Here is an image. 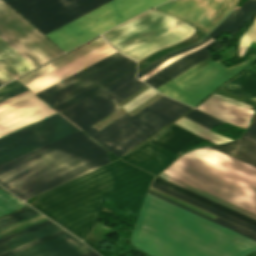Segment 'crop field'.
Segmentation results:
<instances>
[{
    "label": "crop field",
    "mask_w": 256,
    "mask_h": 256,
    "mask_svg": "<svg viewBox=\"0 0 256 256\" xmlns=\"http://www.w3.org/2000/svg\"><path fill=\"white\" fill-rule=\"evenodd\" d=\"M131 245L152 256H244L256 241L146 195Z\"/></svg>",
    "instance_id": "crop-field-2"
},
{
    "label": "crop field",
    "mask_w": 256,
    "mask_h": 256,
    "mask_svg": "<svg viewBox=\"0 0 256 256\" xmlns=\"http://www.w3.org/2000/svg\"><path fill=\"white\" fill-rule=\"evenodd\" d=\"M222 89L256 100V72L246 70Z\"/></svg>",
    "instance_id": "crop-field-24"
},
{
    "label": "crop field",
    "mask_w": 256,
    "mask_h": 256,
    "mask_svg": "<svg viewBox=\"0 0 256 256\" xmlns=\"http://www.w3.org/2000/svg\"><path fill=\"white\" fill-rule=\"evenodd\" d=\"M109 162L107 150L78 130L0 165V185L26 200Z\"/></svg>",
    "instance_id": "crop-field-4"
},
{
    "label": "crop field",
    "mask_w": 256,
    "mask_h": 256,
    "mask_svg": "<svg viewBox=\"0 0 256 256\" xmlns=\"http://www.w3.org/2000/svg\"><path fill=\"white\" fill-rule=\"evenodd\" d=\"M167 0H113L47 34L67 51Z\"/></svg>",
    "instance_id": "crop-field-6"
},
{
    "label": "crop field",
    "mask_w": 256,
    "mask_h": 256,
    "mask_svg": "<svg viewBox=\"0 0 256 256\" xmlns=\"http://www.w3.org/2000/svg\"><path fill=\"white\" fill-rule=\"evenodd\" d=\"M187 25L185 23L178 29L174 30L173 32H171L159 39H156L148 44L141 45L123 55L138 62L141 59H143L144 57L148 56L152 52H154L162 47L182 41V40L186 39L187 37L191 36L196 30H194L193 28H191Z\"/></svg>",
    "instance_id": "crop-field-18"
},
{
    "label": "crop field",
    "mask_w": 256,
    "mask_h": 256,
    "mask_svg": "<svg viewBox=\"0 0 256 256\" xmlns=\"http://www.w3.org/2000/svg\"><path fill=\"white\" fill-rule=\"evenodd\" d=\"M212 62H214V59L211 57L205 59L204 61L198 63L197 65L191 67L190 69H188L187 71H185L184 73H182L181 75H179L178 77L172 79L171 81L155 88L157 89L159 92H164L167 89L173 87L174 85L178 84L179 82L185 80L186 78L196 74L197 72H199L200 70H202L203 68H205L206 66H208L209 64H211Z\"/></svg>",
    "instance_id": "crop-field-29"
},
{
    "label": "crop field",
    "mask_w": 256,
    "mask_h": 256,
    "mask_svg": "<svg viewBox=\"0 0 256 256\" xmlns=\"http://www.w3.org/2000/svg\"><path fill=\"white\" fill-rule=\"evenodd\" d=\"M135 74L136 63L117 52L35 94L119 157L192 108L162 96L94 131L91 125L145 85Z\"/></svg>",
    "instance_id": "crop-field-1"
},
{
    "label": "crop field",
    "mask_w": 256,
    "mask_h": 256,
    "mask_svg": "<svg viewBox=\"0 0 256 256\" xmlns=\"http://www.w3.org/2000/svg\"><path fill=\"white\" fill-rule=\"evenodd\" d=\"M19 86H21V84L17 80H15V81H13V82H11V83L1 87L0 88V95L5 93V92H8V91H10L12 89H15V88H17Z\"/></svg>",
    "instance_id": "crop-field-44"
},
{
    "label": "crop field",
    "mask_w": 256,
    "mask_h": 256,
    "mask_svg": "<svg viewBox=\"0 0 256 256\" xmlns=\"http://www.w3.org/2000/svg\"><path fill=\"white\" fill-rule=\"evenodd\" d=\"M149 190L152 191V192H154V193H156V194H159V195H161V196H163V197H165V198H168V199H170V200H172V201H174V202H177V203H179V204H181V205H183V206H185V207H188V208H190V209H192V210H194V211H197V212H199V213H201V214H203V215H206V216H208V217H210V218H212V219L215 218V216H213V215H211V214H209V213H206V212H204V211H202V210H200V209H197V208H195V207H193V206H191V205H188V204H186V203H184V202H182V201H180V200H177V199H175V198H173V197H171V196H168V195H166V194H164V193H162V192H159V191H157V190H155V189H153V188H150Z\"/></svg>",
    "instance_id": "crop-field-39"
},
{
    "label": "crop field",
    "mask_w": 256,
    "mask_h": 256,
    "mask_svg": "<svg viewBox=\"0 0 256 256\" xmlns=\"http://www.w3.org/2000/svg\"><path fill=\"white\" fill-rule=\"evenodd\" d=\"M56 113L39 98L32 97L0 112V137Z\"/></svg>",
    "instance_id": "crop-field-13"
},
{
    "label": "crop field",
    "mask_w": 256,
    "mask_h": 256,
    "mask_svg": "<svg viewBox=\"0 0 256 256\" xmlns=\"http://www.w3.org/2000/svg\"><path fill=\"white\" fill-rule=\"evenodd\" d=\"M149 86H144L143 88H141L140 90H138V91H136L135 93H133L132 95H130L129 97H127L126 99H124V100H122L121 102H119L120 103V105L122 106L123 104H125V103H127V102H129L130 100H132L134 97H136L138 94H140L142 91H144L146 88H148ZM158 94V93H157ZM156 94V95H157ZM155 96V95H154ZM161 95L159 94V95H157V96H155L154 98H152V99H148L149 101H147L146 103H142L143 105H141V106H137L135 109L136 110H132L133 112H131V113H129L131 116L132 115H134L135 113H137L138 111H140L141 109H143L144 107H146L148 104H150L151 102H153L154 100H156L157 98H159ZM123 109L120 107V108H118L117 110H115L114 112H112L111 114H109L108 116H106L105 118H103L102 120H100L99 122H97L96 124H94L93 126H91L93 129L95 128V127H97L98 125H100V124H102L104 121H106L107 119H109V118H111L112 116H114V115H116L117 113H119L120 111H122ZM124 113H126L124 110L122 111V112H120L119 114H117L116 116H114V117H112L110 120H108V121H106V122H104L101 126H99V127H97V128H95V130H100L101 128H103L104 126H106L107 124H109L110 122H112V121H114L115 119H117L118 117H120L121 115H123Z\"/></svg>",
    "instance_id": "crop-field-26"
},
{
    "label": "crop field",
    "mask_w": 256,
    "mask_h": 256,
    "mask_svg": "<svg viewBox=\"0 0 256 256\" xmlns=\"http://www.w3.org/2000/svg\"><path fill=\"white\" fill-rule=\"evenodd\" d=\"M25 88L23 86H21V87L15 89V90H12V91H10L8 93H5V94L1 95L0 96V102L5 101V100H7V99H9L11 97H14V96H16L18 94H21V93L27 91V89H25Z\"/></svg>",
    "instance_id": "crop-field-42"
},
{
    "label": "crop field",
    "mask_w": 256,
    "mask_h": 256,
    "mask_svg": "<svg viewBox=\"0 0 256 256\" xmlns=\"http://www.w3.org/2000/svg\"><path fill=\"white\" fill-rule=\"evenodd\" d=\"M82 243L65 233L8 256H78L91 251Z\"/></svg>",
    "instance_id": "crop-field-14"
},
{
    "label": "crop field",
    "mask_w": 256,
    "mask_h": 256,
    "mask_svg": "<svg viewBox=\"0 0 256 256\" xmlns=\"http://www.w3.org/2000/svg\"><path fill=\"white\" fill-rule=\"evenodd\" d=\"M184 117L208 128L211 129L212 127H214L215 125L222 123L196 109H194L193 111H191L190 113L186 114Z\"/></svg>",
    "instance_id": "crop-field-33"
},
{
    "label": "crop field",
    "mask_w": 256,
    "mask_h": 256,
    "mask_svg": "<svg viewBox=\"0 0 256 256\" xmlns=\"http://www.w3.org/2000/svg\"><path fill=\"white\" fill-rule=\"evenodd\" d=\"M155 181H157V182H159V183H161V184H164V185H166V186H168V187H170V188H172V189H175V190H177V191H179V192H181V193H184V194H186V195H188V196H190V197H193V198H195V199H197V200H199V201H201V202H204V203H206V204H208V205H210V206H213V207H215V208H217V209H219V210H222V211H224V212H226V213H228V214H231V215H233V216H235V217H237V218H239V219H242V220H244V221H246V222H248V223H251V224H253V225H255L256 226V220H254V219H252V218H250V217H247V216H245V215H243V214H240V213H238V212H236V211H234V210H231V209H229V208H227V207H225V206H222V205H220V204H218V203H215V202H213V201H211V200H209V199H206V198H204V197H202V196H200V195H197V194H195V193H193V192H190V191H188V190H186V189H184V188H181V187H179V186H177V185H175V184H172V183H170V182H168V181H165V180H163V179H161V178H159V177H157L156 179H155ZM154 181V182H155ZM163 185V186H164Z\"/></svg>",
    "instance_id": "crop-field-25"
},
{
    "label": "crop field",
    "mask_w": 256,
    "mask_h": 256,
    "mask_svg": "<svg viewBox=\"0 0 256 256\" xmlns=\"http://www.w3.org/2000/svg\"><path fill=\"white\" fill-rule=\"evenodd\" d=\"M63 233H65V232H64L63 230H61V231H59V232L53 233V234L48 235V236H46V237H43V238H40V239L35 240V241H33V242L27 243V244H25V245H22V246H20V247L14 248V249L9 250V251H7V252L1 253L0 256L8 255V254H10V253H13V252H16V251H18V250L24 249V248H26V247H29V246L34 245V244H37V243H39V242H42V241H44V240L50 239V238H52V237H55V236L60 235V234H63Z\"/></svg>",
    "instance_id": "crop-field-38"
},
{
    "label": "crop field",
    "mask_w": 256,
    "mask_h": 256,
    "mask_svg": "<svg viewBox=\"0 0 256 256\" xmlns=\"http://www.w3.org/2000/svg\"><path fill=\"white\" fill-rule=\"evenodd\" d=\"M148 193L151 194V195H153V196H156V197H158V198H160V199H162V200H165V201H167V202H169V203H172V204H174V205H176V206H179V207H181V208H183V209H185V210H188V211H190V212H192V213H195V214H197V215H199V216H201V217H204V218H206V219H208V220H211V221H213V222H215V223H218V224H220V225H222V226H224V227H227V228H229V229H231V230H234V231H236V232H238V233H241V234H243V235H245V236H247V237H250V238L256 240V234H253V233H251V232H249V231H247V230H244V229H242V228H240V227H238V226H235V225H233V224H231V223H229V222H227V221H224V220H222V219H220V218H218V217H216L214 220H212V219H210V218H208V217H206V216H203V215H201V214H199V213H197V212H194V211H192V210H190V209H188V208H185V207H183V206H181V205H179V204H177V203H174V202H172V201H170V200H168V199H165V198H163V197H161V196H159V195H156V194H154V193H152V192H150V191H149Z\"/></svg>",
    "instance_id": "crop-field-30"
},
{
    "label": "crop field",
    "mask_w": 256,
    "mask_h": 256,
    "mask_svg": "<svg viewBox=\"0 0 256 256\" xmlns=\"http://www.w3.org/2000/svg\"><path fill=\"white\" fill-rule=\"evenodd\" d=\"M252 41L256 42V20L240 40V44H239L240 57L245 53L247 47Z\"/></svg>",
    "instance_id": "crop-field-36"
},
{
    "label": "crop field",
    "mask_w": 256,
    "mask_h": 256,
    "mask_svg": "<svg viewBox=\"0 0 256 256\" xmlns=\"http://www.w3.org/2000/svg\"><path fill=\"white\" fill-rule=\"evenodd\" d=\"M163 173L256 214V168L209 147L182 155Z\"/></svg>",
    "instance_id": "crop-field-5"
},
{
    "label": "crop field",
    "mask_w": 256,
    "mask_h": 256,
    "mask_svg": "<svg viewBox=\"0 0 256 256\" xmlns=\"http://www.w3.org/2000/svg\"><path fill=\"white\" fill-rule=\"evenodd\" d=\"M247 132H249L253 135H256V115H255V118H254L251 126L248 128Z\"/></svg>",
    "instance_id": "crop-field-46"
},
{
    "label": "crop field",
    "mask_w": 256,
    "mask_h": 256,
    "mask_svg": "<svg viewBox=\"0 0 256 256\" xmlns=\"http://www.w3.org/2000/svg\"><path fill=\"white\" fill-rule=\"evenodd\" d=\"M211 148L256 167V136L247 132L239 140Z\"/></svg>",
    "instance_id": "crop-field-19"
},
{
    "label": "crop field",
    "mask_w": 256,
    "mask_h": 256,
    "mask_svg": "<svg viewBox=\"0 0 256 256\" xmlns=\"http://www.w3.org/2000/svg\"><path fill=\"white\" fill-rule=\"evenodd\" d=\"M153 178L118 160L39 196L31 206L83 239L105 197L138 213Z\"/></svg>",
    "instance_id": "crop-field-3"
},
{
    "label": "crop field",
    "mask_w": 256,
    "mask_h": 256,
    "mask_svg": "<svg viewBox=\"0 0 256 256\" xmlns=\"http://www.w3.org/2000/svg\"><path fill=\"white\" fill-rule=\"evenodd\" d=\"M59 230H61V229L58 226H56L55 224H53L51 226H48L46 228H43V229L33 232L31 234L25 235L23 237H20L18 239H15L13 241H10L8 243L0 245V253L4 252L6 250L12 249L14 247L20 246L22 244H25L27 242L33 241L40 237L46 236L53 232L59 231Z\"/></svg>",
    "instance_id": "crop-field-28"
},
{
    "label": "crop field",
    "mask_w": 256,
    "mask_h": 256,
    "mask_svg": "<svg viewBox=\"0 0 256 256\" xmlns=\"http://www.w3.org/2000/svg\"><path fill=\"white\" fill-rule=\"evenodd\" d=\"M174 124L184 128V129H187L197 135H200L215 144L226 142V141H231L228 138L221 137V136H218V135H215V134L209 132L208 129H206V128H204V127H202L184 117L177 120Z\"/></svg>",
    "instance_id": "crop-field-27"
},
{
    "label": "crop field",
    "mask_w": 256,
    "mask_h": 256,
    "mask_svg": "<svg viewBox=\"0 0 256 256\" xmlns=\"http://www.w3.org/2000/svg\"><path fill=\"white\" fill-rule=\"evenodd\" d=\"M223 2L224 0H172L155 8L195 25L206 33L235 7L238 0H232L223 13L210 23L227 6L230 0H227L225 5L211 18Z\"/></svg>",
    "instance_id": "crop-field-12"
},
{
    "label": "crop field",
    "mask_w": 256,
    "mask_h": 256,
    "mask_svg": "<svg viewBox=\"0 0 256 256\" xmlns=\"http://www.w3.org/2000/svg\"><path fill=\"white\" fill-rule=\"evenodd\" d=\"M44 34L111 0H4Z\"/></svg>",
    "instance_id": "crop-field-7"
},
{
    "label": "crop field",
    "mask_w": 256,
    "mask_h": 256,
    "mask_svg": "<svg viewBox=\"0 0 256 256\" xmlns=\"http://www.w3.org/2000/svg\"><path fill=\"white\" fill-rule=\"evenodd\" d=\"M254 7H256V0H247L231 16H229L210 36L215 39L224 30L231 34L228 40L229 43L233 35L236 33L237 29L256 13V8ZM247 13L249 14L242 19V17L245 16ZM227 44H225V47L227 46Z\"/></svg>",
    "instance_id": "crop-field-22"
},
{
    "label": "crop field",
    "mask_w": 256,
    "mask_h": 256,
    "mask_svg": "<svg viewBox=\"0 0 256 256\" xmlns=\"http://www.w3.org/2000/svg\"><path fill=\"white\" fill-rule=\"evenodd\" d=\"M14 78L11 76L7 71H5L1 66H0V83L3 84L9 80Z\"/></svg>",
    "instance_id": "crop-field-45"
},
{
    "label": "crop field",
    "mask_w": 256,
    "mask_h": 256,
    "mask_svg": "<svg viewBox=\"0 0 256 256\" xmlns=\"http://www.w3.org/2000/svg\"><path fill=\"white\" fill-rule=\"evenodd\" d=\"M0 30L41 64L63 54L61 50L1 0Z\"/></svg>",
    "instance_id": "crop-field-10"
},
{
    "label": "crop field",
    "mask_w": 256,
    "mask_h": 256,
    "mask_svg": "<svg viewBox=\"0 0 256 256\" xmlns=\"http://www.w3.org/2000/svg\"><path fill=\"white\" fill-rule=\"evenodd\" d=\"M78 130L58 113L0 139V164Z\"/></svg>",
    "instance_id": "crop-field-8"
},
{
    "label": "crop field",
    "mask_w": 256,
    "mask_h": 256,
    "mask_svg": "<svg viewBox=\"0 0 256 256\" xmlns=\"http://www.w3.org/2000/svg\"><path fill=\"white\" fill-rule=\"evenodd\" d=\"M176 157L177 155L147 141L121 159L157 175Z\"/></svg>",
    "instance_id": "crop-field-15"
},
{
    "label": "crop field",
    "mask_w": 256,
    "mask_h": 256,
    "mask_svg": "<svg viewBox=\"0 0 256 256\" xmlns=\"http://www.w3.org/2000/svg\"><path fill=\"white\" fill-rule=\"evenodd\" d=\"M151 187H153V188H155V189H157L159 191H162V192H164L166 194H169V195H171V196H173L175 198H178V199H180L182 201H185V202H187V203H189L191 205H194V206H196V207H198L200 209H203V210H205L207 212H210V213H212V214H214L216 216H219V217H221L223 219H226V220H228V221H230L232 223H235V224H237V225H239L241 227H244V228H246L248 230H251V231L256 233V227L255 226H253L251 224H248V223H246V222H244L242 220H239V219H237V218H235V217H233L231 215H228V214H226V213H224L222 211H219V210H217V209H215L213 207H210V206H208V205H206L204 203H201V202H199V201H197V200H195L193 198H190V197H188V196H186L184 194H181V193H179V192H177L175 190H172V189H170V188H168L166 186H163V185H161V184H159L157 182L153 181Z\"/></svg>",
    "instance_id": "crop-field-23"
},
{
    "label": "crop field",
    "mask_w": 256,
    "mask_h": 256,
    "mask_svg": "<svg viewBox=\"0 0 256 256\" xmlns=\"http://www.w3.org/2000/svg\"><path fill=\"white\" fill-rule=\"evenodd\" d=\"M210 98H214V99H218V100H221V101L229 102V103L236 104V105L246 107V108H249V109L251 108V106H248L246 104H242L237 100L229 99V98L219 96V95H216V94H213Z\"/></svg>",
    "instance_id": "crop-field-43"
},
{
    "label": "crop field",
    "mask_w": 256,
    "mask_h": 256,
    "mask_svg": "<svg viewBox=\"0 0 256 256\" xmlns=\"http://www.w3.org/2000/svg\"><path fill=\"white\" fill-rule=\"evenodd\" d=\"M255 60H256V56L254 55V53H252L245 62H243L235 67L230 68V70L233 71L237 75L238 73H240L242 70H244L247 66H249Z\"/></svg>",
    "instance_id": "crop-field-40"
},
{
    "label": "crop field",
    "mask_w": 256,
    "mask_h": 256,
    "mask_svg": "<svg viewBox=\"0 0 256 256\" xmlns=\"http://www.w3.org/2000/svg\"><path fill=\"white\" fill-rule=\"evenodd\" d=\"M202 139L203 138L172 124L149 141L179 155L190 145Z\"/></svg>",
    "instance_id": "crop-field-17"
},
{
    "label": "crop field",
    "mask_w": 256,
    "mask_h": 256,
    "mask_svg": "<svg viewBox=\"0 0 256 256\" xmlns=\"http://www.w3.org/2000/svg\"><path fill=\"white\" fill-rule=\"evenodd\" d=\"M154 10L151 9L102 36L111 46L124 53L159 38L184 23ZM170 20L172 21L169 22ZM160 26L162 27L159 28Z\"/></svg>",
    "instance_id": "crop-field-9"
},
{
    "label": "crop field",
    "mask_w": 256,
    "mask_h": 256,
    "mask_svg": "<svg viewBox=\"0 0 256 256\" xmlns=\"http://www.w3.org/2000/svg\"><path fill=\"white\" fill-rule=\"evenodd\" d=\"M232 77L234 75L217 60L163 94L194 107Z\"/></svg>",
    "instance_id": "crop-field-11"
},
{
    "label": "crop field",
    "mask_w": 256,
    "mask_h": 256,
    "mask_svg": "<svg viewBox=\"0 0 256 256\" xmlns=\"http://www.w3.org/2000/svg\"><path fill=\"white\" fill-rule=\"evenodd\" d=\"M51 224H53V223L51 221L47 220L45 222L39 223V224L34 225L32 227H29L27 229H24V230H21L19 232L14 233V234L8 235V236L3 237V238L0 239V244H3L5 242H8V241L13 240L15 238H18V237L23 236L25 234L31 233L33 231H36L38 229H41V228L46 227V226L51 225Z\"/></svg>",
    "instance_id": "crop-field-37"
},
{
    "label": "crop field",
    "mask_w": 256,
    "mask_h": 256,
    "mask_svg": "<svg viewBox=\"0 0 256 256\" xmlns=\"http://www.w3.org/2000/svg\"><path fill=\"white\" fill-rule=\"evenodd\" d=\"M217 42L218 41L213 40L209 45H207L191 54H188L178 60H175L174 62H172L171 64H169L168 66H166L165 68H163L162 70H160L159 72H157L156 74L149 77L148 79H146L143 82H145L155 88V87L163 84L164 82L178 76L179 74H181L182 72H184L185 70H187L188 68L193 66L194 64L209 57L210 54L208 53V51L206 49L213 46Z\"/></svg>",
    "instance_id": "crop-field-16"
},
{
    "label": "crop field",
    "mask_w": 256,
    "mask_h": 256,
    "mask_svg": "<svg viewBox=\"0 0 256 256\" xmlns=\"http://www.w3.org/2000/svg\"><path fill=\"white\" fill-rule=\"evenodd\" d=\"M81 256H99V255H97L95 252L91 251V252L86 253V254L81 255Z\"/></svg>",
    "instance_id": "crop-field-47"
},
{
    "label": "crop field",
    "mask_w": 256,
    "mask_h": 256,
    "mask_svg": "<svg viewBox=\"0 0 256 256\" xmlns=\"http://www.w3.org/2000/svg\"><path fill=\"white\" fill-rule=\"evenodd\" d=\"M159 177H162V178L167 179V180H169V179L171 178V177H169V176H167V175H165V174H163V173H161V174L159 175ZM170 181H172V182H174V183H176V184H179V185H181V186H183V187H185V188H188V189H190V190H192V191H194V192H196V193H199V194H201V195H203V196H205V197H208V198H210V199H212V200H214V201H217V202H219V203H221V204H223V205H226V206H228V207H230V208H232V209H234V210H237V211H239V212H241V213H243V214H246V215H248V216H250V217L256 219V215H254V214H252V213H250V212H248V211H245V210H243V209H241V208H239V207H236V206H234V205H232V204H230V203H227V202H225V201H223V200H221V199H219V198H216V197H214V196H212V195H210V194H207V193H205V192H203V191H201V190H198V189H196V188H194V187H192V186H189V185H187V184H185V183H183V182H181V181H178V180H176V179H174V178H171Z\"/></svg>",
    "instance_id": "crop-field-31"
},
{
    "label": "crop field",
    "mask_w": 256,
    "mask_h": 256,
    "mask_svg": "<svg viewBox=\"0 0 256 256\" xmlns=\"http://www.w3.org/2000/svg\"><path fill=\"white\" fill-rule=\"evenodd\" d=\"M36 214L38 213L30 207L23 209L21 211L15 212L13 214L0 218V228L8 226L10 224H13L15 222H18L20 220H23L25 218L31 217Z\"/></svg>",
    "instance_id": "crop-field-34"
},
{
    "label": "crop field",
    "mask_w": 256,
    "mask_h": 256,
    "mask_svg": "<svg viewBox=\"0 0 256 256\" xmlns=\"http://www.w3.org/2000/svg\"><path fill=\"white\" fill-rule=\"evenodd\" d=\"M0 65L14 77H18L34 68L29 61L0 38Z\"/></svg>",
    "instance_id": "crop-field-20"
},
{
    "label": "crop field",
    "mask_w": 256,
    "mask_h": 256,
    "mask_svg": "<svg viewBox=\"0 0 256 256\" xmlns=\"http://www.w3.org/2000/svg\"><path fill=\"white\" fill-rule=\"evenodd\" d=\"M209 38H210V37L207 36L203 41H201V42H199V43H197V44H195V45H193V46H191V47L185 48V49L180 50V51L173 52V53L169 54V56L164 55V56L158 58L157 60H155L154 62H152L150 65H148L147 67H145L144 69H142L140 72H138L137 78H138V79L141 78L143 75H145V74L148 73L150 70H152V69L155 68L156 66L160 65L161 63H163V62L166 61L167 59H169V58H171V57H173V56H176V55H178V54H180V53H183V52H185V51H187V50H189V49H193V48L197 47L198 45H200L201 43L205 42V41H206L207 39H209ZM207 41H208V40H207ZM201 45H202V44H201ZM165 56H167V57H165ZM163 57H165V58H163ZM161 58H163V59H161ZM160 59H161V60H160Z\"/></svg>",
    "instance_id": "crop-field-35"
},
{
    "label": "crop field",
    "mask_w": 256,
    "mask_h": 256,
    "mask_svg": "<svg viewBox=\"0 0 256 256\" xmlns=\"http://www.w3.org/2000/svg\"><path fill=\"white\" fill-rule=\"evenodd\" d=\"M105 43L107 42L101 37L18 80L25 85Z\"/></svg>",
    "instance_id": "crop-field-21"
},
{
    "label": "crop field",
    "mask_w": 256,
    "mask_h": 256,
    "mask_svg": "<svg viewBox=\"0 0 256 256\" xmlns=\"http://www.w3.org/2000/svg\"><path fill=\"white\" fill-rule=\"evenodd\" d=\"M25 207L5 191L0 190V216Z\"/></svg>",
    "instance_id": "crop-field-32"
},
{
    "label": "crop field",
    "mask_w": 256,
    "mask_h": 256,
    "mask_svg": "<svg viewBox=\"0 0 256 256\" xmlns=\"http://www.w3.org/2000/svg\"><path fill=\"white\" fill-rule=\"evenodd\" d=\"M32 96H34V94H32L31 92H29V93H27V94H25V95H23V96H20V97L14 99V100H12V101H9V102H7V103H5V104H3V105H0V111H1V110H4V109H6V108H8V107H10V106H12V105H15V104H17V103H19V102H21V101H23V100H26V99H28V98H30V97H32ZM34 97H35V96H34Z\"/></svg>",
    "instance_id": "crop-field-41"
}]
</instances>
